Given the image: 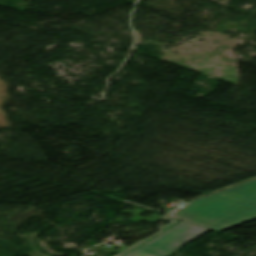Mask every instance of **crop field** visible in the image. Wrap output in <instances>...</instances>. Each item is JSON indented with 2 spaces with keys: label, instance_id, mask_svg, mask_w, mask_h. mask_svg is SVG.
<instances>
[{
  "label": "crop field",
  "instance_id": "obj_1",
  "mask_svg": "<svg viewBox=\"0 0 256 256\" xmlns=\"http://www.w3.org/2000/svg\"><path fill=\"white\" fill-rule=\"evenodd\" d=\"M173 218L212 230L256 218V180L195 200Z\"/></svg>",
  "mask_w": 256,
  "mask_h": 256
},
{
  "label": "crop field",
  "instance_id": "obj_2",
  "mask_svg": "<svg viewBox=\"0 0 256 256\" xmlns=\"http://www.w3.org/2000/svg\"><path fill=\"white\" fill-rule=\"evenodd\" d=\"M208 231L187 223H179L126 256H167Z\"/></svg>",
  "mask_w": 256,
  "mask_h": 256
},
{
  "label": "crop field",
  "instance_id": "obj_3",
  "mask_svg": "<svg viewBox=\"0 0 256 256\" xmlns=\"http://www.w3.org/2000/svg\"><path fill=\"white\" fill-rule=\"evenodd\" d=\"M144 211H145V210L138 209V210H136V211H134V212H127V211H122V212H123V213H129V214L134 215L135 217L132 218V219H130V220H131L132 222H136V223H138V222H140V221H147V222L154 223V222H156L157 220H159V219L162 218V216H159V215L154 214V215H152L151 217L145 219V218L139 216V215L142 214Z\"/></svg>",
  "mask_w": 256,
  "mask_h": 256
},
{
  "label": "crop field",
  "instance_id": "obj_4",
  "mask_svg": "<svg viewBox=\"0 0 256 256\" xmlns=\"http://www.w3.org/2000/svg\"><path fill=\"white\" fill-rule=\"evenodd\" d=\"M164 220L169 221V222H171V223L168 224V225H166L165 227L159 229V230H161L160 232H162V231L165 230L166 228L172 226L173 224L179 222V221H177V220H173V219H170V218H168V217H166ZM166 230H167V229H166ZM160 232L156 233L155 235L149 237L148 239H146V240H144V241L141 240V241L137 242V243L134 244L133 246L129 247L128 249L124 250L123 252H121V253H119V254H117V255H115V256H122V255L126 254V253L129 252L130 250H132V249H134L135 247H137V246L143 244L144 242L148 241L149 239H151L152 237L156 236V235L159 234Z\"/></svg>",
  "mask_w": 256,
  "mask_h": 256
}]
</instances>
